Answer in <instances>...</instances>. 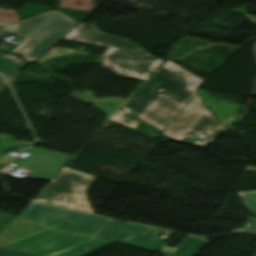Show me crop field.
I'll list each match as a JSON object with an SVG mask.
<instances>
[{
	"instance_id": "1",
	"label": "crop field",
	"mask_w": 256,
	"mask_h": 256,
	"mask_svg": "<svg viewBox=\"0 0 256 256\" xmlns=\"http://www.w3.org/2000/svg\"><path fill=\"white\" fill-rule=\"evenodd\" d=\"M202 82L166 62L120 109L162 132L197 95L195 89Z\"/></svg>"
},
{
	"instance_id": "2",
	"label": "crop field",
	"mask_w": 256,
	"mask_h": 256,
	"mask_svg": "<svg viewBox=\"0 0 256 256\" xmlns=\"http://www.w3.org/2000/svg\"><path fill=\"white\" fill-rule=\"evenodd\" d=\"M18 218L43 227L108 238L139 248L167 254L173 248L159 240L160 229L121 223L88 214L31 203Z\"/></svg>"
},
{
	"instance_id": "3",
	"label": "crop field",
	"mask_w": 256,
	"mask_h": 256,
	"mask_svg": "<svg viewBox=\"0 0 256 256\" xmlns=\"http://www.w3.org/2000/svg\"><path fill=\"white\" fill-rule=\"evenodd\" d=\"M64 39L107 50L99 57L103 67L120 77L145 81L160 62L139 46L123 38L97 32V27L80 23Z\"/></svg>"
},
{
	"instance_id": "4",
	"label": "crop field",
	"mask_w": 256,
	"mask_h": 256,
	"mask_svg": "<svg viewBox=\"0 0 256 256\" xmlns=\"http://www.w3.org/2000/svg\"><path fill=\"white\" fill-rule=\"evenodd\" d=\"M12 25L14 28L9 34L26 39L11 54L21 56L26 63H33L78 23L55 10Z\"/></svg>"
},
{
	"instance_id": "5",
	"label": "crop field",
	"mask_w": 256,
	"mask_h": 256,
	"mask_svg": "<svg viewBox=\"0 0 256 256\" xmlns=\"http://www.w3.org/2000/svg\"><path fill=\"white\" fill-rule=\"evenodd\" d=\"M114 241L42 229L1 247L49 256H83Z\"/></svg>"
},
{
	"instance_id": "6",
	"label": "crop field",
	"mask_w": 256,
	"mask_h": 256,
	"mask_svg": "<svg viewBox=\"0 0 256 256\" xmlns=\"http://www.w3.org/2000/svg\"><path fill=\"white\" fill-rule=\"evenodd\" d=\"M95 178L63 167L33 201L94 214L86 192Z\"/></svg>"
},
{
	"instance_id": "7",
	"label": "crop field",
	"mask_w": 256,
	"mask_h": 256,
	"mask_svg": "<svg viewBox=\"0 0 256 256\" xmlns=\"http://www.w3.org/2000/svg\"><path fill=\"white\" fill-rule=\"evenodd\" d=\"M221 125L205 107L197 95L162 133L179 140L200 135Z\"/></svg>"
},
{
	"instance_id": "8",
	"label": "crop field",
	"mask_w": 256,
	"mask_h": 256,
	"mask_svg": "<svg viewBox=\"0 0 256 256\" xmlns=\"http://www.w3.org/2000/svg\"><path fill=\"white\" fill-rule=\"evenodd\" d=\"M25 152L30 154L24 158L19 156L15 163L35 173L34 177H25L44 180H50L72 157L36 148Z\"/></svg>"
},
{
	"instance_id": "9",
	"label": "crop field",
	"mask_w": 256,
	"mask_h": 256,
	"mask_svg": "<svg viewBox=\"0 0 256 256\" xmlns=\"http://www.w3.org/2000/svg\"><path fill=\"white\" fill-rule=\"evenodd\" d=\"M209 241L187 235L176 247L172 250L169 256H196Z\"/></svg>"
},
{
	"instance_id": "10",
	"label": "crop field",
	"mask_w": 256,
	"mask_h": 256,
	"mask_svg": "<svg viewBox=\"0 0 256 256\" xmlns=\"http://www.w3.org/2000/svg\"><path fill=\"white\" fill-rule=\"evenodd\" d=\"M27 65L18 57L0 53V72L7 76L9 82L14 80L18 76L19 71Z\"/></svg>"
},
{
	"instance_id": "11",
	"label": "crop field",
	"mask_w": 256,
	"mask_h": 256,
	"mask_svg": "<svg viewBox=\"0 0 256 256\" xmlns=\"http://www.w3.org/2000/svg\"><path fill=\"white\" fill-rule=\"evenodd\" d=\"M110 120L125 124L127 126L135 128L139 125V121L133 119L132 117L126 115L122 111H118Z\"/></svg>"
},
{
	"instance_id": "12",
	"label": "crop field",
	"mask_w": 256,
	"mask_h": 256,
	"mask_svg": "<svg viewBox=\"0 0 256 256\" xmlns=\"http://www.w3.org/2000/svg\"><path fill=\"white\" fill-rule=\"evenodd\" d=\"M239 195L250 211L256 216V191L239 193Z\"/></svg>"
},
{
	"instance_id": "13",
	"label": "crop field",
	"mask_w": 256,
	"mask_h": 256,
	"mask_svg": "<svg viewBox=\"0 0 256 256\" xmlns=\"http://www.w3.org/2000/svg\"><path fill=\"white\" fill-rule=\"evenodd\" d=\"M227 132V129L223 126L211 133H209L207 135V137L203 138V139H200L192 144L194 145H197V146H205L206 144H208L210 141L214 140L215 138L221 136L222 134L226 133Z\"/></svg>"
},
{
	"instance_id": "14",
	"label": "crop field",
	"mask_w": 256,
	"mask_h": 256,
	"mask_svg": "<svg viewBox=\"0 0 256 256\" xmlns=\"http://www.w3.org/2000/svg\"><path fill=\"white\" fill-rule=\"evenodd\" d=\"M0 256H37V255L0 248Z\"/></svg>"
},
{
	"instance_id": "15",
	"label": "crop field",
	"mask_w": 256,
	"mask_h": 256,
	"mask_svg": "<svg viewBox=\"0 0 256 256\" xmlns=\"http://www.w3.org/2000/svg\"><path fill=\"white\" fill-rule=\"evenodd\" d=\"M242 231L256 233V219L248 218Z\"/></svg>"
},
{
	"instance_id": "16",
	"label": "crop field",
	"mask_w": 256,
	"mask_h": 256,
	"mask_svg": "<svg viewBox=\"0 0 256 256\" xmlns=\"http://www.w3.org/2000/svg\"><path fill=\"white\" fill-rule=\"evenodd\" d=\"M12 158H13V157H9V156H7V155L1 156V157H0V165L11 161Z\"/></svg>"
},
{
	"instance_id": "17",
	"label": "crop field",
	"mask_w": 256,
	"mask_h": 256,
	"mask_svg": "<svg viewBox=\"0 0 256 256\" xmlns=\"http://www.w3.org/2000/svg\"><path fill=\"white\" fill-rule=\"evenodd\" d=\"M9 29V26L0 25V36Z\"/></svg>"
},
{
	"instance_id": "18",
	"label": "crop field",
	"mask_w": 256,
	"mask_h": 256,
	"mask_svg": "<svg viewBox=\"0 0 256 256\" xmlns=\"http://www.w3.org/2000/svg\"><path fill=\"white\" fill-rule=\"evenodd\" d=\"M7 85L3 79V77L0 75V91L5 88Z\"/></svg>"
},
{
	"instance_id": "19",
	"label": "crop field",
	"mask_w": 256,
	"mask_h": 256,
	"mask_svg": "<svg viewBox=\"0 0 256 256\" xmlns=\"http://www.w3.org/2000/svg\"><path fill=\"white\" fill-rule=\"evenodd\" d=\"M247 170H250V171H256V168H253V167H248Z\"/></svg>"
},
{
	"instance_id": "20",
	"label": "crop field",
	"mask_w": 256,
	"mask_h": 256,
	"mask_svg": "<svg viewBox=\"0 0 256 256\" xmlns=\"http://www.w3.org/2000/svg\"><path fill=\"white\" fill-rule=\"evenodd\" d=\"M254 256H256V253L254 254Z\"/></svg>"
}]
</instances>
